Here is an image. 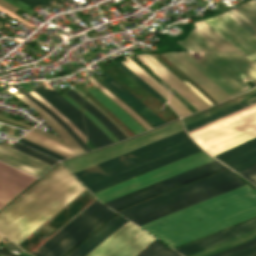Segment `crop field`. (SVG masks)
<instances>
[{
	"label": "crop field",
	"mask_w": 256,
	"mask_h": 256,
	"mask_svg": "<svg viewBox=\"0 0 256 256\" xmlns=\"http://www.w3.org/2000/svg\"><path fill=\"white\" fill-rule=\"evenodd\" d=\"M197 60L191 53H180L201 72L209 77L231 97L247 90L246 84L239 77L243 73L256 83V66L238 52H203Z\"/></svg>",
	"instance_id": "5"
},
{
	"label": "crop field",
	"mask_w": 256,
	"mask_h": 256,
	"mask_svg": "<svg viewBox=\"0 0 256 256\" xmlns=\"http://www.w3.org/2000/svg\"><path fill=\"white\" fill-rule=\"evenodd\" d=\"M169 102L172 103L177 109L178 111L183 115H188V114H191L175 97H173L171 94H170V99H169Z\"/></svg>",
	"instance_id": "43"
},
{
	"label": "crop field",
	"mask_w": 256,
	"mask_h": 256,
	"mask_svg": "<svg viewBox=\"0 0 256 256\" xmlns=\"http://www.w3.org/2000/svg\"><path fill=\"white\" fill-rule=\"evenodd\" d=\"M256 137V112L203 135L195 141L215 156Z\"/></svg>",
	"instance_id": "9"
},
{
	"label": "crop field",
	"mask_w": 256,
	"mask_h": 256,
	"mask_svg": "<svg viewBox=\"0 0 256 256\" xmlns=\"http://www.w3.org/2000/svg\"><path fill=\"white\" fill-rule=\"evenodd\" d=\"M223 168H225L223 165H221L220 163H218L217 161L214 160L210 163L204 164L197 168L191 169L184 173L178 174L171 178H168V179H165L158 183H155L153 185L147 186L140 190H137V191H134L127 195L121 196L119 198H116V199L106 202L104 204L109 206L110 208L116 210L118 208L124 207L131 203L137 202L144 198L150 197L157 193L171 189L173 187L184 184L186 182L197 179L199 177H202L204 175L210 174L212 172H215V171L223 169Z\"/></svg>",
	"instance_id": "12"
},
{
	"label": "crop field",
	"mask_w": 256,
	"mask_h": 256,
	"mask_svg": "<svg viewBox=\"0 0 256 256\" xmlns=\"http://www.w3.org/2000/svg\"><path fill=\"white\" fill-rule=\"evenodd\" d=\"M22 101L29 104L35 111H37L40 116L44 119V121L56 132V134L60 137L53 136L49 133L41 131L37 128L33 129L32 131L39 133L45 137H48L52 140H55L61 144H64L71 148L75 155L84 153L85 151L81 148V146L73 139V137L50 115H48L45 111H43L38 105H36L32 100L28 99L25 96H22ZM28 105V106H29Z\"/></svg>",
	"instance_id": "20"
},
{
	"label": "crop field",
	"mask_w": 256,
	"mask_h": 256,
	"mask_svg": "<svg viewBox=\"0 0 256 256\" xmlns=\"http://www.w3.org/2000/svg\"><path fill=\"white\" fill-rule=\"evenodd\" d=\"M139 256H179V255L173 252L172 250L166 248L159 241H157Z\"/></svg>",
	"instance_id": "34"
},
{
	"label": "crop field",
	"mask_w": 256,
	"mask_h": 256,
	"mask_svg": "<svg viewBox=\"0 0 256 256\" xmlns=\"http://www.w3.org/2000/svg\"><path fill=\"white\" fill-rule=\"evenodd\" d=\"M255 102H256V96L251 97V98H249V99H247L245 101H242V102H240V103H238L236 105H233V106H231L229 108H226V109H224V110H222L220 112H217V113H215V114H213L211 116H208V117H206V118H204L202 120H199V121H197L195 123H192V124L186 126L185 127L186 131L189 132V131H191L193 129H196V128L202 126V125H205V124H207L209 122H212V121H214V120H216L218 118H221V117H223L225 115H228V114H230V113H232L234 111H237V110H239L241 108H244V107H246V106H248L250 104H253Z\"/></svg>",
	"instance_id": "26"
},
{
	"label": "crop field",
	"mask_w": 256,
	"mask_h": 256,
	"mask_svg": "<svg viewBox=\"0 0 256 256\" xmlns=\"http://www.w3.org/2000/svg\"><path fill=\"white\" fill-rule=\"evenodd\" d=\"M87 91L90 92L94 97H96L100 102H102L135 134L145 130V128L140 123H138L131 116H129L120 106L111 101L96 87L92 90L89 87H87Z\"/></svg>",
	"instance_id": "25"
},
{
	"label": "crop field",
	"mask_w": 256,
	"mask_h": 256,
	"mask_svg": "<svg viewBox=\"0 0 256 256\" xmlns=\"http://www.w3.org/2000/svg\"><path fill=\"white\" fill-rule=\"evenodd\" d=\"M87 79L92 82L98 89H100L106 96L111 100L120 105L124 110H126L131 116H133L137 121H139L147 130L152 129L147 123H145L137 114H135L128 106H126L121 100L111 95L106 91L99 83H97L89 74H87Z\"/></svg>",
	"instance_id": "33"
},
{
	"label": "crop field",
	"mask_w": 256,
	"mask_h": 256,
	"mask_svg": "<svg viewBox=\"0 0 256 256\" xmlns=\"http://www.w3.org/2000/svg\"><path fill=\"white\" fill-rule=\"evenodd\" d=\"M87 151H89L88 147H87Z\"/></svg>",
	"instance_id": "55"
},
{
	"label": "crop field",
	"mask_w": 256,
	"mask_h": 256,
	"mask_svg": "<svg viewBox=\"0 0 256 256\" xmlns=\"http://www.w3.org/2000/svg\"><path fill=\"white\" fill-rule=\"evenodd\" d=\"M239 174L256 185V165L239 172Z\"/></svg>",
	"instance_id": "42"
},
{
	"label": "crop field",
	"mask_w": 256,
	"mask_h": 256,
	"mask_svg": "<svg viewBox=\"0 0 256 256\" xmlns=\"http://www.w3.org/2000/svg\"><path fill=\"white\" fill-rule=\"evenodd\" d=\"M254 111H256V105L251 107V108H249V109H246V110H244V111H242L240 113H237V114H235V115H233V116H231L229 118H226V119H224V120H222L220 122H217V123H215V124H213L211 126H208V127L204 128V129H202L200 131H197V132L191 134V136H192L193 139H195V138H197V137H199V136H201L203 134H206V133H208V132H210V131H212L214 129H217V128L225 125V124H228V123H230V122H232V121H234L236 119H239V118H241V117H243L245 115H248V114H250V113H252Z\"/></svg>",
	"instance_id": "32"
},
{
	"label": "crop field",
	"mask_w": 256,
	"mask_h": 256,
	"mask_svg": "<svg viewBox=\"0 0 256 256\" xmlns=\"http://www.w3.org/2000/svg\"><path fill=\"white\" fill-rule=\"evenodd\" d=\"M18 141L23 143V144H25V145H27V146H29V147H32V148H34V149H36V150H38V151H40V152H42L44 154H47V155H49V156H51V157H53V158H55L57 160L66 159V158H64V157H62V156H60L58 154H55V153H53V152H51V151H49L47 149H44V148H42V147H40V146H38V145H36L34 143H31V142L23 139V138L19 139Z\"/></svg>",
	"instance_id": "40"
},
{
	"label": "crop field",
	"mask_w": 256,
	"mask_h": 256,
	"mask_svg": "<svg viewBox=\"0 0 256 256\" xmlns=\"http://www.w3.org/2000/svg\"><path fill=\"white\" fill-rule=\"evenodd\" d=\"M144 65H146L154 74L166 82L188 102H190L198 111L209 107L194 91L178 79L171 71L159 64L150 55L140 54L136 56Z\"/></svg>",
	"instance_id": "13"
},
{
	"label": "crop field",
	"mask_w": 256,
	"mask_h": 256,
	"mask_svg": "<svg viewBox=\"0 0 256 256\" xmlns=\"http://www.w3.org/2000/svg\"><path fill=\"white\" fill-rule=\"evenodd\" d=\"M201 151L188 136L109 166L79 180L92 192Z\"/></svg>",
	"instance_id": "3"
},
{
	"label": "crop field",
	"mask_w": 256,
	"mask_h": 256,
	"mask_svg": "<svg viewBox=\"0 0 256 256\" xmlns=\"http://www.w3.org/2000/svg\"><path fill=\"white\" fill-rule=\"evenodd\" d=\"M23 138H25V139H27V140H29L31 142H34V143H36V144H38V145H40L42 147H45V148H47V149H49V150H51V151H53L55 153H58V154L66 157V158L74 156V155H72V154H70L68 152H65V151H63V150H61V149H59L57 147H54V146H52V145H50L48 143H45V142H43V141H41V140H39L37 138H34V137H32V136H30L28 134H26Z\"/></svg>",
	"instance_id": "37"
},
{
	"label": "crop field",
	"mask_w": 256,
	"mask_h": 256,
	"mask_svg": "<svg viewBox=\"0 0 256 256\" xmlns=\"http://www.w3.org/2000/svg\"><path fill=\"white\" fill-rule=\"evenodd\" d=\"M108 78L102 83L108 86L113 92H115L118 96L127 101L133 108H135L142 116H144L150 123H152L155 127L165 123L157 114H155L149 107L143 104L140 100H138L135 96H133L130 92L116 83L111 77L102 71Z\"/></svg>",
	"instance_id": "23"
},
{
	"label": "crop field",
	"mask_w": 256,
	"mask_h": 256,
	"mask_svg": "<svg viewBox=\"0 0 256 256\" xmlns=\"http://www.w3.org/2000/svg\"><path fill=\"white\" fill-rule=\"evenodd\" d=\"M0 161L30 173L36 177H39L51 167V165L45 162L3 144H0Z\"/></svg>",
	"instance_id": "17"
},
{
	"label": "crop field",
	"mask_w": 256,
	"mask_h": 256,
	"mask_svg": "<svg viewBox=\"0 0 256 256\" xmlns=\"http://www.w3.org/2000/svg\"><path fill=\"white\" fill-rule=\"evenodd\" d=\"M210 160L212 159L199 152L107 189L96 192L94 195L103 203Z\"/></svg>",
	"instance_id": "8"
},
{
	"label": "crop field",
	"mask_w": 256,
	"mask_h": 256,
	"mask_svg": "<svg viewBox=\"0 0 256 256\" xmlns=\"http://www.w3.org/2000/svg\"><path fill=\"white\" fill-rule=\"evenodd\" d=\"M113 214H115L114 211L96 200L32 254L36 256H64Z\"/></svg>",
	"instance_id": "6"
},
{
	"label": "crop field",
	"mask_w": 256,
	"mask_h": 256,
	"mask_svg": "<svg viewBox=\"0 0 256 256\" xmlns=\"http://www.w3.org/2000/svg\"><path fill=\"white\" fill-rule=\"evenodd\" d=\"M83 107L87 111H89L95 118L100 120L119 141L126 139L123 133L87 100L84 101Z\"/></svg>",
	"instance_id": "31"
},
{
	"label": "crop field",
	"mask_w": 256,
	"mask_h": 256,
	"mask_svg": "<svg viewBox=\"0 0 256 256\" xmlns=\"http://www.w3.org/2000/svg\"><path fill=\"white\" fill-rule=\"evenodd\" d=\"M193 53H195V52H193ZM198 55L200 54L199 52H196Z\"/></svg>",
	"instance_id": "53"
},
{
	"label": "crop field",
	"mask_w": 256,
	"mask_h": 256,
	"mask_svg": "<svg viewBox=\"0 0 256 256\" xmlns=\"http://www.w3.org/2000/svg\"><path fill=\"white\" fill-rule=\"evenodd\" d=\"M251 256H256V254H254V255H251Z\"/></svg>",
	"instance_id": "54"
},
{
	"label": "crop field",
	"mask_w": 256,
	"mask_h": 256,
	"mask_svg": "<svg viewBox=\"0 0 256 256\" xmlns=\"http://www.w3.org/2000/svg\"><path fill=\"white\" fill-rule=\"evenodd\" d=\"M232 11L256 30V0H250Z\"/></svg>",
	"instance_id": "29"
},
{
	"label": "crop field",
	"mask_w": 256,
	"mask_h": 256,
	"mask_svg": "<svg viewBox=\"0 0 256 256\" xmlns=\"http://www.w3.org/2000/svg\"><path fill=\"white\" fill-rule=\"evenodd\" d=\"M237 172L256 164V139L215 156Z\"/></svg>",
	"instance_id": "18"
},
{
	"label": "crop field",
	"mask_w": 256,
	"mask_h": 256,
	"mask_svg": "<svg viewBox=\"0 0 256 256\" xmlns=\"http://www.w3.org/2000/svg\"><path fill=\"white\" fill-rule=\"evenodd\" d=\"M33 91L37 92L43 99H45L52 106H54L62 115H64L85 135V128L81 112H79L71 104H69L55 90L51 89L48 92L44 87L40 86Z\"/></svg>",
	"instance_id": "21"
},
{
	"label": "crop field",
	"mask_w": 256,
	"mask_h": 256,
	"mask_svg": "<svg viewBox=\"0 0 256 256\" xmlns=\"http://www.w3.org/2000/svg\"><path fill=\"white\" fill-rule=\"evenodd\" d=\"M256 228V218L235 227L229 228L212 236L206 237L189 245L176 249L180 254L186 256L216 243L222 242L234 236L240 235Z\"/></svg>",
	"instance_id": "19"
},
{
	"label": "crop field",
	"mask_w": 256,
	"mask_h": 256,
	"mask_svg": "<svg viewBox=\"0 0 256 256\" xmlns=\"http://www.w3.org/2000/svg\"><path fill=\"white\" fill-rule=\"evenodd\" d=\"M13 147L18 149V150H21V151H23V152H25V153H27L29 155H32V156H34V157H36V158H38L40 160H43V161H45V162H47V163H49L51 165H53L54 163L57 162L56 160H54V159H52L50 157H47V156H45L43 154H40V153H38V152H36L34 150H31V149H29L27 147H24V146L20 145L18 143H14Z\"/></svg>",
	"instance_id": "38"
},
{
	"label": "crop field",
	"mask_w": 256,
	"mask_h": 256,
	"mask_svg": "<svg viewBox=\"0 0 256 256\" xmlns=\"http://www.w3.org/2000/svg\"><path fill=\"white\" fill-rule=\"evenodd\" d=\"M83 113L101 130L103 131L113 142L117 141V139L93 116H91L87 111L83 109Z\"/></svg>",
	"instance_id": "41"
},
{
	"label": "crop field",
	"mask_w": 256,
	"mask_h": 256,
	"mask_svg": "<svg viewBox=\"0 0 256 256\" xmlns=\"http://www.w3.org/2000/svg\"><path fill=\"white\" fill-rule=\"evenodd\" d=\"M114 64L117 65L118 67H120L126 73H128L131 77H133L142 87H144L146 90H148L154 96H156L163 104L165 103L166 100L160 94H158L154 89H152L148 84H146L143 80H141L133 72H131L129 69H127L124 65H122L120 62H114Z\"/></svg>",
	"instance_id": "36"
},
{
	"label": "crop field",
	"mask_w": 256,
	"mask_h": 256,
	"mask_svg": "<svg viewBox=\"0 0 256 256\" xmlns=\"http://www.w3.org/2000/svg\"><path fill=\"white\" fill-rule=\"evenodd\" d=\"M32 7H34L35 5H37L38 3L42 4V5H50L49 0H20ZM41 5V6H42Z\"/></svg>",
	"instance_id": "46"
},
{
	"label": "crop field",
	"mask_w": 256,
	"mask_h": 256,
	"mask_svg": "<svg viewBox=\"0 0 256 256\" xmlns=\"http://www.w3.org/2000/svg\"><path fill=\"white\" fill-rule=\"evenodd\" d=\"M89 102H91L100 112H102L114 125H116L123 133L124 135L128 138L130 137L111 117H109L102 109H100L96 104H94L90 99L85 97Z\"/></svg>",
	"instance_id": "44"
},
{
	"label": "crop field",
	"mask_w": 256,
	"mask_h": 256,
	"mask_svg": "<svg viewBox=\"0 0 256 256\" xmlns=\"http://www.w3.org/2000/svg\"><path fill=\"white\" fill-rule=\"evenodd\" d=\"M3 236L0 235V240L2 239ZM0 256H16L14 254L8 253L6 251L0 250Z\"/></svg>",
	"instance_id": "49"
},
{
	"label": "crop field",
	"mask_w": 256,
	"mask_h": 256,
	"mask_svg": "<svg viewBox=\"0 0 256 256\" xmlns=\"http://www.w3.org/2000/svg\"><path fill=\"white\" fill-rule=\"evenodd\" d=\"M16 89V88H15ZM18 90V89H17ZM20 91V90H18ZM23 93L22 91H20ZM25 94V93H23ZM25 96L32 99L36 104H38L43 110H45L47 113H49L52 117H54L74 138L75 140L83 147L85 150L86 144L80 139V137L70 128L68 127L62 120H60L54 113H52L46 106H44L41 102H39L37 99H35L33 96H31L29 93L25 94Z\"/></svg>",
	"instance_id": "35"
},
{
	"label": "crop field",
	"mask_w": 256,
	"mask_h": 256,
	"mask_svg": "<svg viewBox=\"0 0 256 256\" xmlns=\"http://www.w3.org/2000/svg\"><path fill=\"white\" fill-rule=\"evenodd\" d=\"M127 60L121 62L146 83H148L152 88H154L158 93H160L166 100L168 98V92L161 86L153 77H151L147 72H145L141 67L134 63L130 58L125 56Z\"/></svg>",
	"instance_id": "28"
},
{
	"label": "crop field",
	"mask_w": 256,
	"mask_h": 256,
	"mask_svg": "<svg viewBox=\"0 0 256 256\" xmlns=\"http://www.w3.org/2000/svg\"><path fill=\"white\" fill-rule=\"evenodd\" d=\"M254 216L256 190L244 185L140 226L174 248Z\"/></svg>",
	"instance_id": "1"
},
{
	"label": "crop field",
	"mask_w": 256,
	"mask_h": 256,
	"mask_svg": "<svg viewBox=\"0 0 256 256\" xmlns=\"http://www.w3.org/2000/svg\"><path fill=\"white\" fill-rule=\"evenodd\" d=\"M127 221L128 220L117 214L67 256L87 255L91 250H93L97 245H99Z\"/></svg>",
	"instance_id": "22"
},
{
	"label": "crop field",
	"mask_w": 256,
	"mask_h": 256,
	"mask_svg": "<svg viewBox=\"0 0 256 256\" xmlns=\"http://www.w3.org/2000/svg\"><path fill=\"white\" fill-rule=\"evenodd\" d=\"M256 253V245L253 246V247H250L248 249H245L243 251H240L238 253H235L233 255H230V256H248V255H251V254H254Z\"/></svg>",
	"instance_id": "45"
},
{
	"label": "crop field",
	"mask_w": 256,
	"mask_h": 256,
	"mask_svg": "<svg viewBox=\"0 0 256 256\" xmlns=\"http://www.w3.org/2000/svg\"><path fill=\"white\" fill-rule=\"evenodd\" d=\"M83 119L86 127L87 137L97 148L112 143V141L107 138L84 114Z\"/></svg>",
	"instance_id": "30"
},
{
	"label": "crop field",
	"mask_w": 256,
	"mask_h": 256,
	"mask_svg": "<svg viewBox=\"0 0 256 256\" xmlns=\"http://www.w3.org/2000/svg\"><path fill=\"white\" fill-rule=\"evenodd\" d=\"M6 1L12 3L13 5H15V6H17L18 8L22 9L23 11L29 13L28 11H26V10H24L23 8L19 7L14 1H12V0H6Z\"/></svg>",
	"instance_id": "50"
},
{
	"label": "crop field",
	"mask_w": 256,
	"mask_h": 256,
	"mask_svg": "<svg viewBox=\"0 0 256 256\" xmlns=\"http://www.w3.org/2000/svg\"><path fill=\"white\" fill-rule=\"evenodd\" d=\"M254 95H256V88H254V89H252V90H250V91H248V92H246V93H244V94H242V95H240V96H238V97H236V98H234V99H232V100H230L228 102H225V103L220 104V105H218L216 107H213L211 109H208L206 111H203V112L198 113V114H196L194 116H191L189 118L184 119L183 120L184 121V125L186 126V125H188V124H190L192 122H195V121H197L199 119H202V118H204V117H206L208 115H211V114H213V113H215L217 111H220V110H222V109H224L226 107H229V106H231L233 104H236V103H238V102H240L242 100H245V99H247V98H249L251 96H254Z\"/></svg>",
	"instance_id": "27"
},
{
	"label": "crop field",
	"mask_w": 256,
	"mask_h": 256,
	"mask_svg": "<svg viewBox=\"0 0 256 256\" xmlns=\"http://www.w3.org/2000/svg\"><path fill=\"white\" fill-rule=\"evenodd\" d=\"M84 189L60 164L0 212V233L17 245Z\"/></svg>",
	"instance_id": "2"
},
{
	"label": "crop field",
	"mask_w": 256,
	"mask_h": 256,
	"mask_svg": "<svg viewBox=\"0 0 256 256\" xmlns=\"http://www.w3.org/2000/svg\"><path fill=\"white\" fill-rule=\"evenodd\" d=\"M155 239L128 221L87 256H135Z\"/></svg>",
	"instance_id": "11"
},
{
	"label": "crop field",
	"mask_w": 256,
	"mask_h": 256,
	"mask_svg": "<svg viewBox=\"0 0 256 256\" xmlns=\"http://www.w3.org/2000/svg\"><path fill=\"white\" fill-rule=\"evenodd\" d=\"M255 244H256V239H253V240H251V241L245 242V243H243V244H240V245L235 246V247H233V248L227 249V250L222 251V252H220V253L214 254V255H212V256H228V255H230V254H233V253H235V252H238V251H240V250H243V249L248 248V247H250V246H253V245H255Z\"/></svg>",
	"instance_id": "39"
},
{
	"label": "crop field",
	"mask_w": 256,
	"mask_h": 256,
	"mask_svg": "<svg viewBox=\"0 0 256 256\" xmlns=\"http://www.w3.org/2000/svg\"><path fill=\"white\" fill-rule=\"evenodd\" d=\"M243 184H245V183L242 180H240L239 178H237L235 180H232V181L227 182L225 184L219 185L217 187H214L212 189H209L207 191H204L202 193H199V194L194 195L192 197H189L187 199L181 200L179 202H176L174 204H171L169 206H166L164 208H161V209L156 210L154 212H151L149 214L143 215V216L138 217L136 219H133L131 221L140 225L142 223L148 222L150 220H153V219L158 218L160 216L166 215L168 213H171V212L176 211L178 209L184 208L186 206H189V205L194 204L196 202L202 201L204 199H207L209 197L220 194L222 192H225L227 190H230L232 188L238 187V186L243 185Z\"/></svg>",
	"instance_id": "15"
},
{
	"label": "crop field",
	"mask_w": 256,
	"mask_h": 256,
	"mask_svg": "<svg viewBox=\"0 0 256 256\" xmlns=\"http://www.w3.org/2000/svg\"><path fill=\"white\" fill-rule=\"evenodd\" d=\"M18 256H22V255L19 254Z\"/></svg>",
	"instance_id": "57"
},
{
	"label": "crop field",
	"mask_w": 256,
	"mask_h": 256,
	"mask_svg": "<svg viewBox=\"0 0 256 256\" xmlns=\"http://www.w3.org/2000/svg\"><path fill=\"white\" fill-rule=\"evenodd\" d=\"M235 178H237V176L234 174V172H232L229 168H226L218 173L207 176L161 195L152 197L118 212L127 219L131 220Z\"/></svg>",
	"instance_id": "7"
},
{
	"label": "crop field",
	"mask_w": 256,
	"mask_h": 256,
	"mask_svg": "<svg viewBox=\"0 0 256 256\" xmlns=\"http://www.w3.org/2000/svg\"><path fill=\"white\" fill-rule=\"evenodd\" d=\"M75 91H76L77 93H79L82 97H84V95H83L82 93H80L77 89H75Z\"/></svg>",
	"instance_id": "52"
},
{
	"label": "crop field",
	"mask_w": 256,
	"mask_h": 256,
	"mask_svg": "<svg viewBox=\"0 0 256 256\" xmlns=\"http://www.w3.org/2000/svg\"><path fill=\"white\" fill-rule=\"evenodd\" d=\"M194 24L196 29L178 42L186 50L240 51L256 65V38L226 13Z\"/></svg>",
	"instance_id": "4"
},
{
	"label": "crop field",
	"mask_w": 256,
	"mask_h": 256,
	"mask_svg": "<svg viewBox=\"0 0 256 256\" xmlns=\"http://www.w3.org/2000/svg\"><path fill=\"white\" fill-rule=\"evenodd\" d=\"M183 130L181 121L166 125L144 135L138 136L126 142L63 162V164L72 172L79 171L92 166L114 156L120 155L142 145L148 144L170 134Z\"/></svg>",
	"instance_id": "10"
},
{
	"label": "crop field",
	"mask_w": 256,
	"mask_h": 256,
	"mask_svg": "<svg viewBox=\"0 0 256 256\" xmlns=\"http://www.w3.org/2000/svg\"><path fill=\"white\" fill-rule=\"evenodd\" d=\"M186 135H187V134H186L185 131L183 130V131H181V132H178V133L173 134V135H171V136L165 137V138H163V139H160V140H158V141H155V142L150 143V144H148V145H145V146H143V147L137 148V149H135V150H132V151H130V152H127V153H125V154H122V155H120V156H117V157H115V158L109 159V160H107V161H104V162H102V163H99V164H97V165H94V166H92V167H89V168H87V169H84V170H81V171H79V172H76V173H74V175H75L77 178H79V177H81V176H84V175H86V174L92 173V172H94V171H97V170L102 169V168H104V167H107V166H109V165L115 164V163H117V162H120V161H122V160H125V159H127V158H130V157H132V156L138 155V154L143 153V152H145V151H148V150H150V149L156 148V147H158V146H161V145L166 144V143H168V142H171V141H173V140H176V139H179V138H181V137H184V136H186Z\"/></svg>",
	"instance_id": "24"
},
{
	"label": "crop field",
	"mask_w": 256,
	"mask_h": 256,
	"mask_svg": "<svg viewBox=\"0 0 256 256\" xmlns=\"http://www.w3.org/2000/svg\"><path fill=\"white\" fill-rule=\"evenodd\" d=\"M36 178L0 162V208Z\"/></svg>",
	"instance_id": "14"
},
{
	"label": "crop field",
	"mask_w": 256,
	"mask_h": 256,
	"mask_svg": "<svg viewBox=\"0 0 256 256\" xmlns=\"http://www.w3.org/2000/svg\"><path fill=\"white\" fill-rule=\"evenodd\" d=\"M1 18V17H0ZM3 19V18H2ZM3 20H5V19H3ZM5 21H7V20H5Z\"/></svg>",
	"instance_id": "56"
},
{
	"label": "crop field",
	"mask_w": 256,
	"mask_h": 256,
	"mask_svg": "<svg viewBox=\"0 0 256 256\" xmlns=\"http://www.w3.org/2000/svg\"><path fill=\"white\" fill-rule=\"evenodd\" d=\"M197 83L217 103L231 98L178 53L161 54Z\"/></svg>",
	"instance_id": "16"
},
{
	"label": "crop field",
	"mask_w": 256,
	"mask_h": 256,
	"mask_svg": "<svg viewBox=\"0 0 256 256\" xmlns=\"http://www.w3.org/2000/svg\"><path fill=\"white\" fill-rule=\"evenodd\" d=\"M71 91L66 92L70 97H72L77 103L82 104L83 98L78 95L73 89L69 88Z\"/></svg>",
	"instance_id": "47"
},
{
	"label": "crop field",
	"mask_w": 256,
	"mask_h": 256,
	"mask_svg": "<svg viewBox=\"0 0 256 256\" xmlns=\"http://www.w3.org/2000/svg\"><path fill=\"white\" fill-rule=\"evenodd\" d=\"M17 1V3L19 4V5H21L22 7H25L27 10L30 8V7H28V6H26V5H24L23 3H21V2H19L18 0H16ZM29 11V10H28ZM31 12V11H30ZM33 13V12H32Z\"/></svg>",
	"instance_id": "51"
},
{
	"label": "crop field",
	"mask_w": 256,
	"mask_h": 256,
	"mask_svg": "<svg viewBox=\"0 0 256 256\" xmlns=\"http://www.w3.org/2000/svg\"><path fill=\"white\" fill-rule=\"evenodd\" d=\"M68 102H70L74 107H76L79 111H81V106L78 105L75 101H73L69 96L66 94L62 95Z\"/></svg>",
	"instance_id": "48"
}]
</instances>
